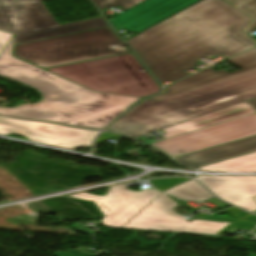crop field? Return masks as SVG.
<instances>
[{
	"mask_svg": "<svg viewBox=\"0 0 256 256\" xmlns=\"http://www.w3.org/2000/svg\"><path fill=\"white\" fill-rule=\"evenodd\" d=\"M235 9L221 0H203L127 43L161 83L177 81L200 57L229 58L255 46L242 30L251 18Z\"/></svg>",
	"mask_w": 256,
	"mask_h": 256,
	"instance_id": "8a807250",
	"label": "crop field"
},
{
	"mask_svg": "<svg viewBox=\"0 0 256 256\" xmlns=\"http://www.w3.org/2000/svg\"><path fill=\"white\" fill-rule=\"evenodd\" d=\"M14 35L0 53V76L41 92L35 105L13 109L0 107V114L60 122L84 128H105L139 98L93 93L49 72L12 57Z\"/></svg>",
	"mask_w": 256,
	"mask_h": 256,
	"instance_id": "ac0d7876",
	"label": "crop field"
},
{
	"mask_svg": "<svg viewBox=\"0 0 256 256\" xmlns=\"http://www.w3.org/2000/svg\"><path fill=\"white\" fill-rule=\"evenodd\" d=\"M256 98V71L174 97L147 99L108 130L135 138Z\"/></svg>",
	"mask_w": 256,
	"mask_h": 256,
	"instance_id": "34b2d1b8",
	"label": "crop field"
},
{
	"mask_svg": "<svg viewBox=\"0 0 256 256\" xmlns=\"http://www.w3.org/2000/svg\"><path fill=\"white\" fill-rule=\"evenodd\" d=\"M138 69L143 68L128 54L47 70L94 92L143 97L161 91L144 69V74Z\"/></svg>",
	"mask_w": 256,
	"mask_h": 256,
	"instance_id": "412701ff",
	"label": "crop field"
},
{
	"mask_svg": "<svg viewBox=\"0 0 256 256\" xmlns=\"http://www.w3.org/2000/svg\"><path fill=\"white\" fill-rule=\"evenodd\" d=\"M110 27L16 45L15 55L41 68L129 52Z\"/></svg>",
	"mask_w": 256,
	"mask_h": 256,
	"instance_id": "f4fd0767",
	"label": "crop field"
},
{
	"mask_svg": "<svg viewBox=\"0 0 256 256\" xmlns=\"http://www.w3.org/2000/svg\"><path fill=\"white\" fill-rule=\"evenodd\" d=\"M177 205L166 194H160L122 228L223 235L231 228L251 230L256 226L254 224L256 216L249 215L237 208L226 211L238 219L210 215L195 219L193 223L186 222V219L171 210Z\"/></svg>",
	"mask_w": 256,
	"mask_h": 256,
	"instance_id": "dd49c442",
	"label": "crop field"
},
{
	"mask_svg": "<svg viewBox=\"0 0 256 256\" xmlns=\"http://www.w3.org/2000/svg\"><path fill=\"white\" fill-rule=\"evenodd\" d=\"M0 0V29L17 35L16 44L91 30L108 25L102 18L59 26L39 0Z\"/></svg>",
	"mask_w": 256,
	"mask_h": 256,
	"instance_id": "e52e79f7",
	"label": "crop field"
},
{
	"mask_svg": "<svg viewBox=\"0 0 256 256\" xmlns=\"http://www.w3.org/2000/svg\"><path fill=\"white\" fill-rule=\"evenodd\" d=\"M256 135V113L160 141L151 146L168 157Z\"/></svg>",
	"mask_w": 256,
	"mask_h": 256,
	"instance_id": "d8731c3e",
	"label": "crop field"
},
{
	"mask_svg": "<svg viewBox=\"0 0 256 256\" xmlns=\"http://www.w3.org/2000/svg\"><path fill=\"white\" fill-rule=\"evenodd\" d=\"M0 133H16L26 138L71 150L91 146L98 132L0 117Z\"/></svg>",
	"mask_w": 256,
	"mask_h": 256,
	"instance_id": "5a996713",
	"label": "crop field"
},
{
	"mask_svg": "<svg viewBox=\"0 0 256 256\" xmlns=\"http://www.w3.org/2000/svg\"><path fill=\"white\" fill-rule=\"evenodd\" d=\"M159 194L154 189L132 192L121 186L109 189L106 196L85 194L73 198L95 201L104 214L101 224L104 227L121 228Z\"/></svg>",
	"mask_w": 256,
	"mask_h": 256,
	"instance_id": "3316defc",
	"label": "crop field"
},
{
	"mask_svg": "<svg viewBox=\"0 0 256 256\" xmlns=\"http://www.w3.org/2000/svg\"><path fill=\"white\" fill-rule=\"evenodd\" d=\"M196 1L198 0H146L110 21L118 31L129 29L139 33Z\"/></svg>",
	"mask_w": 256,
	"mask_h": 256,
	"instance_id": "28ad6ade",
	"label": "crop field"
},
{
	"mask_svg": "<svg viewBox=\"0 0 256 256\" xmlns=\"http://www.w3.org/2000/svg\"><path fill=\"white\" fill-rule=\"evenodd\" d=\"M200 181L227 202L250 212L256 210V177L200 176Z\"/></svg>",
	"mask_w": 256,
	"mask_h": 256,
	"instance_id": "d1516ede",
	"label": "crop field"
},
{
	"mask_svg": "<svg viewBox=\"0 0 256 256\" xmlns=\"http://www.w3.org/2000/svg\"><path fill=\"white\" fill-rule=\"evenodd\" d=\"M228 61L241 67L242 69L226 73L222 70L216 72L212 68H210L187 79H184L174 85L168 86L166 93L154 96L150 99L160 100L214 82H218L230 77L256 70V48L237 57H234Z\"/></svg>",
	"mask_w": 256,
	"mask_h": 256,
	"instance_id": "22f410ed",
	"label": "crop field"
},
{
	"mask_svg": "<svg viewBox=\"0 0 256 256\" xmlns=\"http://www.w3.org/2000/svg\"><path fill=\"white\" fill-rule=\"evenodd\" d=\"M248 103L256 109V100L249 101ZM255 150L256 136L223 146L214 147L189 155L177 157L174 158V160H176L181 165L197 167Z\"/></svg>",
	"mask_w": 256,
	"mask_h": 256,
	"instance_id": "cbeb9de0",
	"label": "crop field"
},
{
	"mask_svg": "<svg viewBox=\"0 0 256 256\" xmlns=\"http://www.w3.org/2000/svg\"><path fill=\"white\" fill-rule=\"evenodd\" d=\"M255 112L256 111L252 107L248 106L245 102L236 106L226 108L224 110L218 111L210 115L198 117L193 120L179 123L172 127L163 129V132L165 133V135L162 137L164 139H167V138L181 135L199 128L215 125V124L222 123L237 117L249 115Z\"/></svg>",
	"mask_w": 256,
	"mask_h": 256,
	"instance_id": "5142ce71",
	"label": "crop field"
},
{
	"mask_svg": "<svg viewBox=\"0 0 256 256\" xmlns=\"http://www.w3.org/2000/svg\"><path fill=\"white\" fill-rule=\"evenodd\" d=\"M199 169L201 171L256 172V153Z\"/></svg>",
	"mask_w": 256,
	"mask_h": 256,
	"instance_id": "d9b57169",
	"label": "crop field"
},
{
	"mask_svg": "<svg viewBox=\"0 0 256 256\" xmlns=\"http://www.w3.org/2000/svg\"><path fill=\"white\" fill-rule=\"evenodd\" d=\"M164 192L185 200H205L212 196L195 180H190Z\"/></svg>",
	"mask_w": 256,
	"mask_h": 256,
	"instance_id": "733c2abd",
	"label": "crop field"
},
{
	"mask_svg": "<svg viewBox=\"0 0 256 256\" xmlns=\"http://www.w3.org/2000/svg\"><path fill=\"white\" fill-rule=\"evenodd\" d=\"M99 9L121 5L125 10L144 0H93Z\"/></svg>",
	"mask_w": 256,
	"mask_h": 256,
	"instance_id": "4a817a6b",
	"label": "crop field"
},
{
	"mask_svg": "<svg viewBox=\"0 0 256 256\" xmlns=\"http://www.w3.org/2000/svg\"><path fill=\"white\" fill-rule=\"evenodd\" d=\"M185 180H187V178H169V179H156V180H151L149 182L152 185L157 186V189L159 191H164V190H166L170 187H173V186H175V185H177V184H179V183H181Z\"/></svg>",
	"mask_w": 256,
	"mask_h": 256,
	"instance_id": "bc2a9ffb",
	"label": "crop field"
},
{
	"mask_svg": "<svg viewBox=\"0 0 256 256\" xmlns=\"http://www.w3.org/2000/svg\"><path fill=\"white\" fill-rule=\"evenodd\" d=\"M239 9L243 10L244 12L248 13L249 15L255 18V21L246 28V31L248 33L255 31L256 30V0H251L241 5Z\"/></svg>",
	"mask_w": 256,
	"mask_h": 256,
	"instance_id": "214f88e0",
	"label": "crop field"
},
{
	"mask_svg": "<svg viewBox=\"0 0 256 256\" xmlns=\"http://www.w3.org/2000/svg\"><path fill=\"white\" fill-rule=\"evenodd\" d=\"M12 33L0 31V52L8 42V40L11 38Z\"/></svg>",
	"mask_w": 256,
	"mask_h": 256,
	"instance_id": "92a150f3",
	"label": "crop field"
},
{
	"mask_svg": "<svg viewBox=\"0 0 256 256\" xmlns=\"http://www.w3.org/2000/svg\"><path fill=\"white\" fill-rule=\"evenodd\" d=\"M115 136H117V135L108 134V133H102V134L100 135V137L96 140V144H99V143H101V142H103V141H106V140H108V139H111V138H113V137H115Z\"/></svg>",
	"mask_w": 256,
	"mask_h": 256,
	"instance_id": "dafd665d",
	"label": "crop field"
},
{
	"mask_svg": "<svg viewBox=\"0 0 256 256\" xmlns=\"http://www.w3.org/2000/svg\"><path fill=\"white\" fill-rule=\"evenodd\" d=\"M229 1L230 3L234 4V5H239L247 0H227Z\"/></svg>",
	"mask_w": 256,
	"mask_h": 256,
	"instance_id": "00972430",
	"label": "crop field"
},
{
	"mask_svg": "<svg viewBox=\"0 0 256 256\" xmlns=\"http://www.w3.org/2000/svg\"><path fill=\"white\" fill-rule=\"evenodd\" d=\"M5 1H6V3H7L8 6L11 5V4H10V0H5Z\"/></svg>",
	"mask_w": 256,
	"mask_h": 256,
	"instance_id": "a9b5d70f",
	"label": "crop field"
},
{
	"mask_svg": "<svg viewBox=\"0 0 256 256\" xmlns=\"http://www.w3.org/2000/svg\"><path fill=\"white\" fill-rule=\"evenodd\" d=\"M256 200V198H254Z\"/></svg>",
	"mask_w": 256,
	"mask_h": 256,
	"instance_id": "4177f3b9",
	"label": "crop field"
}]
</instances>
